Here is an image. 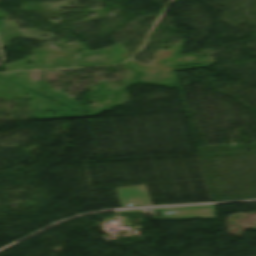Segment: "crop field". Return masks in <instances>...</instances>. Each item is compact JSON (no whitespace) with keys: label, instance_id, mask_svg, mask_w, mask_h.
<instances>
[{"label":"crop field","instance_id":"obj_1","mask_svg":"<svg viewBox=\"0 0 256 256\" xmlns=\"http://www.w3.org/2000/svg\"><path fill=\"white\" fill-rule=\"evenodd\" d=\"M152 212L162 213V218H154V220L166 219H188V218H214L213 205L205 206H187V207H169V208H156Z\"/></svg>","mask_w":256,"mask_h":256},{"label":"crop field","instance_id":"obj_2","mask_svg":"<svg viewBox=\"0 0 256 256\" xmlns=\"http://www.w3.org/2000/svg\"><path fill=\"white\" fill-rule=\"evenodd\" d=\"M115 189L122 207L153 205L145 185Z\"/></svg>","mask_w":256,"mask_h":256},{"label":"crop field","instance_id":"obj_3","mask_svg":"<svg viewBox=\"0 0 256 256\" xmlns=\"http://www.w3.org/2000/svg\"><path fill=\"white\" fill-rule=\"evenodd\" d=\"M119 214H130V213H142L141 209L129 210V211H118Z\"/></svg>","mask_w":256,"mask_h":256}]
</instances>
